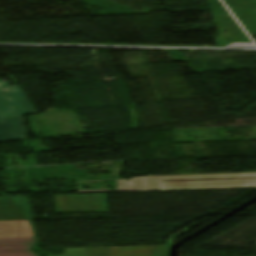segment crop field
<instances>
[{
    "label": "crop field",
    "mask_w": 256,
    "mask_h": 256,
    "mask_svg": "<svg viewBox=\"0 0 256 256\" xmlns=\"http://www.w3.org/2000/svg\"><path fill=\"white\" fill-rule=\"evenodd\" d=\"M38 238L33 220L0 221V256H36Z\"/></svg>",
    "instance_id": "ac0d7876"
},
{
    "label": "crop field",
    "mask_w": 256,
    "mask_h": 256,
    "mask_svg": "<svg viewBox=\"0 0 256 256\" xmlns=\"http://www.w3.org/2000/svg\"><path fill=\"white\" fill-rule=\"evenodd\" d=\"M55 212H107V194L54 196Z\"/></svg>",
    "instance_id": "34b2d1b8"
},
{
    "label": "crop field",
    "mask_w": 256,
    "mask_h": 256,
    "mask_svg": "<svg viewBox=\"0 0 256 256\" xmlns=\"http://www.w3.org/2000/svg\"><path fill=\"white\" fill-rule=\"evenodd\" d=\"M36 111L19 85L0 81V141L27 139L22 115Z\"/></svg>",
    "instance_id": "8a807250"
},
{
    "label": "crop field",
    "mask_w": 256,
    "mask_h": 256,
    "mask_svg": "<svg viewBox=\"0 0 256 256\" xmlns=\"http://www.w3.org/2000/svg\"><path fill=\"white\" fill-rule=\"evenodd\" d=\"M165 246L66 249L60 256H164Z\"/></svg>",
    "instance_id": "412701ff"
},
{
    "label": "crop field",
    "mask_w": 256,
    "mask_h": 256,
    "mask_svg": "<svg viewBox=\"0 0 256 256\" xmlns=\"http://www.w3.org/2000/svg\"><path fill=\"white\" fill-rule=\"evenodd\" d=\"M33 219L27 197L0 198V220Z\"/></svg>",
    "instance_id": "f4fd0767"
}]
</instances>
